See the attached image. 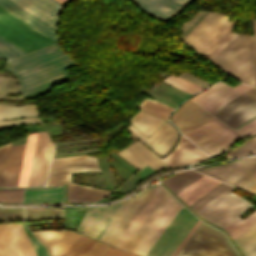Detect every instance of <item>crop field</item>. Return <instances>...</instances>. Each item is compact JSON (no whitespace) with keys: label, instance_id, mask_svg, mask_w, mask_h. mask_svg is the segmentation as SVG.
<instances>
[{"label":"crop field","instance_id":"crop-field-1","mask_svg":"<svg viewBox=\"0 0 256 256\" xmlns=\"http://www.w3.org/2000/svg\"><path fill=\"white\" fill-rule=\"evenodd\" d=\"M74 65L55 43L10 60L7 68L19 77L25 96L69 80L66 69Z\"/></svg>","mask_w":256,"mask_h":256},{"label":"crop field","instance_id":"crop-field-2","mask_svg":"<svg viewBox=\"0 0 256 256\" xmlns=\"http://www.w3.org/2000/svg\"><path fill=\"white\" fill-rule=\"evenodd\" d=\"M234 189L221 182L189 206L204 219L224 228L253 206L232 193Z\"/></svg>","mask_w":256,"mask_h":256},{"label":"crop field","instance_id":"crop-field-3","mask_svg":"<svg viewBox=\"0 0 256 256\" xmlns=\"http://www.w3.org/2000/svg\"><path fill=\"white\" fill-rule=\"evenodd\" d=\"M181 206L166 192L123 249L145 256Z\"/></svg>","mask_w":256,"mask_h":256},{"label":"crop field","instance_id":"crop-field-4","mask_svg":"<svg viewBox=\"0 0 256 256\" xmlns=\"http://www.w3.org/2000/svg\"><path fill=\"white\" fill-rule=\"evenodd\" d=\"M212 62L238 81L254 85L253 36L239 35Z\"/></svg>","mask_w":256,"mask_h":256},{"label":"crop field","instance_id":"crop-field-5","mask_svg":"<svg viewBox=\"0 0 256 256\" xmlns=\"http://www.w3.org/2000/svg\"><path fill=\"white\" fill-rule=\"evenodd\" d=\"M177 256H239L219 230L201 223Z\"/></svg>","mask_w":256,"mask_h":256},{"label":"crop field","instance_id":"crop-field-6","mask_svg":"<svg viewBox=\"0 0 256 256\" xmlns=\"http://www.w3.org/2000/svg\"><path fill=\"white\" fill-rule=\"evenodd\" d=\"M184 135L211 156L224 152L233 142L243 138L215 117Z\"/></svg>","mask_w":256,"mask_h":256},{"label":"crop field","instance_id":"crop-field-7","mask_svg":"<svg viewBox=\"0 0 256 256\" xmlns=\"http://www.w3.org/2000/svg\"><path fill=\"white\" fill-rule=\"evenodd\" d=\"M0 36L26 53L54 43L1 7Z\"/></svg>","mask_w":256,"mask_h":256},{"label":"crop field","instance_id":"crop-field-8","mask_svg":"<svg viewBox=\"0 0 256 256\" xmlns=\"http://www.w3.org/2000/svg\"><path fill=\"white\" fill-rule=\"evenodd\" d=\"M197 220L182 206L146 256H171Z\"/></svg>","mask_w":256,"mask_h":256},{"label":"crop field","instance_id":"crop-field-9","mask_svg":"<svg viewBox=\"0 0 256 256\" xmlns=\"http://www.w3.org/2000/svg\"><path fill=\"white\" fill-rule=\"evenodd\" d=\"M210 113L233 128L240 125L256 115V87Z\"/></svg>","mask_w":256,"mask_h":256},{"label":"crop field","instance_id":"crop-field-10","mask_svg":"<svg viewBox=\"0 0 256 256\" xmlns=\"http://www.w3.org/2000/svg\"><path fill=\"white\" fill-rule=\"evenodd\" d=\"M0 256H36L22 224H0Z\"/></svg>","mask_w":256,"mask_h":256},{"label":"crop field","instance_id":"crop-field-11","mask_svg":"<svg viewBox=\"0 0 256 256\" xmlns=\"http://www.w3.org/2000/svg\"><path fill=\"white\" fill-rule=\"evenodd\" d=\"M120 204L102 207H88L77 232L102 241Z\"/></svg>","mask_w":256,"mask_h":256},{"label":"crop field","instance_id":"crop-field-12","mask_svg":"<svg viewBox=\"0 0 256 256\" xmlns=\"http://www.w3.org/2000/svg\"><path fill=\"white\" fill-rule=\"evenodd\" d=\"M250 88H252V86L245 84H240L232 88L220 81L218 84L190 99L210 112Z\"/></svg>","mask_w":256,"mask_h":256},{"label":"crop field","instance_id":"crop-field-13","mask_svg":"<svg viewBox=\"0 0 256 256\" xmlns=\"http://www.w3.org/2000/svg\"><path fill=\"white\" fill-rule=\"evenodd\" d=\"M234 23L227 19L211 33L195 50L211 61L227 47L237 36L232 31Z\"/></svg>","mask_w":256,"mask_h":256},{"label":"crop field","instance_id":"crop-field-14","mask_svg":"<svg viewBox=\"0 0 256 256\" xmlns=\"http://www.w3.org/2000/svg\"><path fill=\"white\" fill-rule=\"evenodd\" d=\"M56 30L57 15L64 5L56 0H10Z\"/></svg>","mask_w":256,"mask_h":256},{"label":"crop field","instance_id":"crop-field-15","mask_svg":"<svg viewBox=\"0 0 256 256\" xmlns=\"http://www.w3.org/2000/svg\"><path fill=\"white\" fill-rule=\"evenodd\" d=\"M212 117L214 116L189 100L172 113L171 120L184 134Z\"/></svg>","mask_w":256,"mask_h":256},{"label":"crop field","instance_id":"crop-field-16","mask_svg":"<svg viewBox=\"0 0 256 256\" xmlns=\"http://www.w3.org/2000/svg\"><path fill=\"white\" fill-rule=\"evenodd\" d=\"M126 130H128L132 135L142 140L161 155L167 153L170 150L177 138V131L167 121L149 138L132 125Z\"/></svg>","mask_w":256,"mask_h":256},{"label":"crop field","instance_id":"crop-field-17","mask_svg":"<svg viewBox=\"0 0 256 256\" xmlns=\"http://www.w3.org/2000/svg\"><path fill=\"white\" fill-rule=\"evenodd\" d=\"M143 11L167 22L193 0H131Z\"/></svg>","mask_w":256,"mask_h":256},{"label":"crop field","instance_id":"crop-field-18","mask_svg":"<svg viewBox=\"0 0 256 256\" xmlns=\"http://www.w3.org/2000/svg\"><path fill=\"white\" fill-rule=\"evenodd\" d=\"M255 161L256 157L196 170L236 186Z\"/></svg>","mask_w":256,"mask_h":256},{"label":"crop field","instance_id":"crop-field-19","mask_svg":"<svg viewBox=\"0 0 256 256\" xmlns=\"http://www.w3.org/2000/svg\"><path fill=\"white\" fill-rule=\"evenodd\" d=\"M118 154L126 158L139 169L147 165L155 170L170 166L139 141Z\"/></svg>","mask_w":256,"mask_h":256},{"label":"crop field","instance_id":"crop-field-20","mask_svg":"<svg viewBox=\"0 0 256 256\" xmlns=\"http://www.w3.org/2000/svg\"><path fill=\"white\" fill-rule=\"evenodd\" d=\"M150 189L151 188H148L141 192L140 194H138L137 196L133 197L132 199L122 202L113 222L111 223L103 239V242L108 244L111 243V241L123 227V225L129 219V217L132 215V213L135 211V209L138 207V205L150 191Z\"/></svg>","mask_w":256,"mask_h":256},{"label":"crop field","instance_id":"crop-field-21","mask_svg":"<svg viewBox=\"0 0 256 256\" xmlns=\"http://www.w3.org/2000/svg\"><path fill=\"white\" fill-rule=\"evenodd\" d=\"M226 17L209 12L182 41L195 49Z\"/></svg>","mask_w":256,"mask_h":256},{"label":"crop field","instance_id":"crop-field-22","mask_svg":"<svg viewBox=\"0 0 256 256\" xmlns=\"http://www.w3.org/2000/svg\"><path fill=\"white\" fill-rule=\"evenodd\" d=\"M33 233L48 246L52 256H60L79 236V234L62 230L38 231Z\"/></svg>","mask_w":256,"mask_h":256},{"label":"crop field","instance_id":"crop-field-23","mask_svg":"<svg viewBox=\"0 0 256 256\" xmlns=\"http://www.w3.org/2000/svg\"><path fill=\"white\" fill-rule=\"evenodd\" d=\"M34 115H38L36 105H24L21 107L0 105V119L13 118L17 116H34ZM23 122L39 123L41 121L38 117H27L23 119L0 121V128L23 123Z\"/></svg>","mask_w":256,"mask_h":256},{"label":"crop field","instance_id":"crop-field-24","mask_svg":"<svg viewBox=\"0 0 256 256\" xmlns=\"http://www.w3.org/2000/svg\"><path fill=\"white\" fill-rule=\"evenodd\" d=\"M26 144L12 145L3 186H17Z\"/></svg>","mask_w":256,"mask_h":256},{"label":"crop field","instance_id":"crop-field-25","mask_svg":"<svg viewBox=\"0 0 256 256\" xmlns=\"http://www.w3.org/2000/svg\"><path fill=\"white\" fill-rule=\"evenodd\" d=\"M0 6L5 8L9 12H11L12 14L17 16L18 18H20L21 20H23L24 22H26L27 24L35 28L36 30L40 31L41 33H43L53 41L55 42L57 41L56 34L53 29L43 24L42 22H40L39 20H37L27 12L23 11L22 9H20L19 7L11 3L10 1L0 0Z\"/></svg>","mask_w":256,"mask_h":256},{"label":"crop field","instance_id":"crop-field-26","mask_svg":"<svg viewBox=\"0 0 256 256\" xmlns=\"http://www.w3.org/2000/svg\"><path fill=\"white\" fill-rule=\"evenodd\" d=\"M64 185L57 188L23 189V202H63Z\"/></svg>","mask_w":256,"mask_h":256},{"label":"crop field","instance_id":"crop-field-27","mask_svg":"<svg viewBox=\"0 0 256 256\" xmlns=\"http://www.w3.org/2000/svg\"><path fill=\"white\" fill-rule=\"evenodd\" d=\"M219 182L204 175L177 195L189 205Z\"/></svg>","mask_w":256,"mask_h":256},{"label":"crop field","instance_id":"crop-field-28","mask_svg":"<svg viewBox=\"0 0 256 256\" xmlns=\"http://www.w3.org/2000/svg\"><path fill=\"white\" fill-rule=\"evenodd\" d=\"M48 135L38 132L28 186L38 185Z\"/></svg>","mask_w":256,"mask_h":256},{"label":"crop field","instance_id":"crop-field-29","mask_svg":"<svg viewBox=\"0 0 256 256\" xmlns=\"http://www.w3.org/2000/svg\"><path fill=\"white\" fill-rule=\"evenodd\" d=\"M109 193L111 192L69 183L67 202L94 201L106 197Z\"/></svg>","mask_w":256,"mask_h":256},{"label":"crop field","instance_id":"crop-field-30","mask_svg":"<svg viewBox=\"0 0 256 256\" xmlns=\"http://www.w3.org/2000/svg\"><path fill=\"white\" fill-rule=\"evenodd\" d=\"M160 188L162 190H164L161 186L159 187V189ZM158 190L153 195V197L149 200V202L146 204V206L143 208V210L139 213V215L136 217V219L132 222V224L129 226V228L126 230V232L122 235V237L116 243L115 247H118L120 249L123 248V246L129 240V238L133 235V233L136 231V229L139 227V225L142 223V221L146 218V216L149 214V212L152 210V208L156 205V203L159 201V199L163 195L161 193H157Z\"/></svg>","mask_w":256,"mask_h":256},{"label":"crop field","instance_id":"crop-field-31","mask_svg":"<svg viewBox=\"0 0 256 256\" xmlns=\"http://www.w3.org/2000/svg\"><path fill=\"white\" fill-rule=\"evenodd\" d=\"M203 174L189 170L161 180L176 194L200 178Z\"/></svg>","mask_w":256,"mask_h":256},{"label":"crop field","instance_id":"crop-field-32","mask_svg":"<svg viewBox=\"0 0 256 256\" xmlns=\"http://www.w3.org/2000/svg\"><path fill=\"white\" fill-rule=\"evenodd\" d=\"M100 171L98 166H80L50 170L47 186L66 184L70 182V172Z\"/></svg>","mask_w":256,"mask_h":256},{"label":"crop field","instance_id":"crop-field-33","mask_svg":"<svg viewBox=\"0 0 256 256\" xmlns=\"http://www.w3.org/2000/svg\"><path fill=\"white\" fill-rule=\"evenodd\" d=\"M130 122L145 134L150 135L154 132L164 121L152 116L142 110H140L136 115H134Z\"/></svg>","mask_w":256,"mask_h":256},{"label":"crop field","instance_id":"crop-field-34","mask_svg":"<svg viewBox=\"0 0 256 256\" xmlns=\"http://www.w3.org/2000/svg\"><path fill=\"white\" fill-rule=\"evenodd\" d=\"M234 240L245 256H256V224Z\"/></svg>","mask_w":256,"mask_h":256},{"label":"crop field","instance_id":"crop-field-35","mask_svg":"<svg viewBox=\"0 0 256 256\" xmlns=\"http://www.w3.org/2000/svg\"><path fill=\"white\" fill-rule=\"evenodd\" d=\"M80 165H98L94 157H88V155L74 156V157H62L53 158L51 161L50 169L63 168L69 166Z\"/></svg>","mask_w":256,"mask_h":256},{"label":"crop field","instance_id":"crop-field-36","mask_svg":"<svg viewBox=\"0 0 256 256\" xmlns=\"http://www.w3.org/2000/svg\"><path fill=\"white\" fill-rule=\"evenodd\" d=\"M36 134H37V132L32 133L28 137V142H27V146H26V151H25V156H24V161H23V165H22V170H21V175H20L18 186H27V184H28V178H29V173H30V167H31V162H32Z\"/></svg>","mask_w":256,"mask_h":256},{"label":"crop field","instance_id":"crop-field-37","mask_svg":"<svg viewBox=\"0 0 256 256\" xmlns=\"http://www.w3.org/2000/svg\"><path fill=\"white\" fill-rule=\"evenodd\" d=\"M256 223V211H254L251 215H249L247 218L241 220L236 219L234 222H232L230 225H228L225 229L229 232V234L232 236V238H236L238 235L243 233L245 230L250 228L252 225Z\"/></svg>","mask_w":256,"mask_h":256},{"label":"crop field","instance_id":"crop-field-38","mask_svg":"<svg viewBox=\"0 0 256 256\" xmlns=\"http://www.w3.org/2000/svg\"><path fill=\"white\" fill-rule=\"evenodd\" d=\"M139 108L155 114L163 119H167L168 115L173 110V107L152 99H145Z\"/></svg>","mask_w":256,"mask_h":256},{"label":"crop field","instance_id":"crop-field-39","mask_svg":"<svg viewBox=\"0 0 256 256\" xmlns=\"http://www.w3.org/2000/svg\"><path fill=\"white\" fill-rule=\"evenodd\" d=\"M94 242L95 240L80 235L61 256H82Z\"/></svg>","mask_w":256,"mask_h":256},{"label":"crop field","instance_id":"crop-field-40","mask_svg":"<svg viewBox=\"0 0 256 256\" xmlns=\"http://www.w3.org/2000/svg\"><path fill=\"white\" fill-rule=\"evenodd\" d=\"M163 82L170 84L172 86H175L179 89H182L184 91H187L191 94L203 89L179 76L170 75V77H166Z\"/></svg>","mask_w":256,"mask_h":256},{"label":"crop field","instance_id":"crop-field-41","mask_svg":"<svg viewBox=\"0 0 256 256\" xmlns=\"http://www.w3.org/2000/svg\"><path fill=\"white\" fill-rule=\"evenodd\" d=\"M255 153H256V137L246 141L239 147L232 150L230 153L227 154L225 159L230 157H240V156H245V155H250Z\"/></svg>","mask_w":256,"mask_h":256},{"label":"crop field","instance_id":"crop-field-42","mask_svg":"<svg viewBox=\"0 0 256 256\" xmlns=\"http://www.w3.org/2000/svg\"><path fill=\"white\" fill-rule=\"evenodd\" d=\"M25 54L23 51L0 37V56L5 59H10L19 55Z\"/></svg>","mask_w":256,"mask_h":256},{"label":"crop field","instance_id":"crop-field-43","mask_svg":"<svg viewBox=\"0 0 256 256\" xmlns=\"http://www.w3.org/2000/svg\"><path fill=\"white\" fill-rule=\"evenodd\" d=\"M22 202V189L0 190V203Z\"/></svg>","mask_w":256,"mask_h":256},{"label":"crop field","instance_id":"crop-field-44","mask_svg":"<svg viewBox=\"0 0 256 256\" xmlns=\"http://www.w3.org/2000/svg\"><path fill=\"white\" fill-rule=\"evenodd\" d=\"M160 185L155 184L152 191L149 193V195L146 197V199L142 202V204L139 206V208L135 211V213L132 215V217L129 219V221L125 224V226L122 228V230L118 233V235L115 237V239L112 241L111 245H115V243L118 241V239L121 237V235L125 232V230L128 228V226L131 224V222L135 219V217L138 215V213L142 210V208L145 206V204L148 202V200L152 197V195L155 193V191L158 189Z\"/></svg>","mask_w":256,"mask_h":256},{"label":"crop field","instance_id":"crop-field-45","mask_svg":"<svg viewBox=\"0 0 256 256\" xmlns=\"http://www.w3.org/2000/svg\"><path fill=\"white\" fill-rule=\"evenodd\" d=\"M10 143L0 146V186L3 184L9 149H10Z\"/></svg>","mask_w":256,"mask_h":256},{"label":"crop field","instance_id":"crop-field-46","mask_svg":"<svg viewBox=\"0 0 256 256\" xmlns=\"http://www.w3.org/2000/svg\"><path fill=\"white\" fill-rule=\"evenodd\" d=\"M52 151H53V143L48 138V143H47V148H46V153H45V158H44V163H43V168H42V173H41V178H40L39 185H45L47 170H48V164H49L50 157L52 155Z\"/></svg>","mask_w":256,"mask_h":256},{"label":"crop field","instance_id":"crop-field-47","mask_svg":"<svg viewBox=\"0 0 256 256\" xmlns=\"http://www.w3.org/2000/svg\"><path fill=\"white\" fill-rule=\"evenodd\" d=\"M110 246L96 241L83 256H102Z\"/></svg>","mask_w":256,"mask_h":256},{"label":"crop field","instance_id":"crop-field-48","mask_svg":"<svg viewBox=\"0 0 256 256\" xmlns=\"http://www.w3.org/2000/svg\"><path fill=\"white\" fill-rule=\"evenodd\" d=\"M37 256H50L46 247L36 238H29Z\"/></svg>","mask_w":256,"mask_h":256},{"label":"crop field","instance_id":"crop-field-49","mask_svg":"<svg viewBox=\"0 0 256 256\" xmlns=\"http://www.w3.org/2000/svg\"><path fill=\"white\" fill-rule=\"evenodd\" d=\"M103 256H136V255L111 247Z\"/></svg>","mask_w":256,"mask_h":256},{"label":"crop field","instance_id":"crop-field-50","mask_svg":"<svg viewBox=\"0 0 256 256\" xmlns=\"http://www.w3.org/2000/svg\"><path fill=\"white\" fill-rule=\"evenodd\" d=\"M201 221H197V223L194 225V227L191 229V231L188 233V235L185 237V239L181 242V244L178 246V248L175 250V252L172 254V256H175L178 251L181 249V247L184 245V243L187 241V239L190 237V235L193 233V231L196 229V227L199 225Z\"/></svg>","mask_w":256,"mask_h":256},{"label":"crop field","instance_id":"crop-field-51","mask_svg":"<svg viewBox=\"0 0 256 256\" xmlns=\"http://www.w3.org/2000/svg\"><path fill=\"white\" fill-rule=\"evenodd\" d=\"M255 124H256V119H255V120H253L252 122L248 123L247 125H245V126L241 127L240 129L236 130V131H238V132H240V133H241V132H243V131L247 130L248 128H250V127L254 126Z\"/></svg>","mask_w":256,"mask_h":256},{"label":"crop field","instance_id":"crop-field-52","mask_svg":"<svg viewBox=\"0 0 256 256\" xmlns=\"http://www.w3.org/2000/svg\"><path fill=\"white\" fill-rule=\"evenodd\" d=\"M241 134H243L244 136L256 134V125Z\"/></svg>","mask_w":256,"mask_h":256},{"label":"crop field","instance_id":"crop-field-53","mask_svg":"<svg viewBox=\"0 0 256 256\" xmlns=\"http://www.w3.org/2000/svg\"><path fill=\"white\" fill-rule=\"evenodd\" d=\"M255 33V55H256V25H253Z\"/></svg>","mask_w":256,"mask_h":256},{"label":"crop field","instance_id":"crop-field-54","mask_svg":"<svg viewBox=\"0 0 256 256\" xmlns=\"http://www.w3.org/2000/svg\"><path fill=\"white\" fill-rule=\"evenodd\" d=\"M91 146H95V145H91ZM91 146H83V147H91ZM74 148H82V147H74ZM74 148H66V149H74ZM66 149H59V150H66ZM58 151V150H56Z\"/></svg>","mask_w":256,"mask_h":256},{"label":"crop field","instance_id":"crop-field-55","mask_svg":"<svg viewBox=\"0 0 256 256\" xmlns=\"http://www.w3.org/2000/svg\"><path fill=\"white\" fill-rule=\"evenodd\" d=\"M255 71H256V56H255Z\"/></svg>","mask_w":256,"mask_h":256},{"label":"crop field","instance_id":"crop-field-56","mask_svg":"<svg viewBox=\"0 0 256 256\" xmlns=\"http://www.w3.org/2000/svg\"><path fill=\"white\" fill-rule=\"evenodd\" d=\"M58 1L62 3V2H64L65 0H58ZM61 3H60V4H61Z\"/></svg>","mask_w":256,"mask_h":256},{"label":"crop field","instance_id":"crop-field-57","mask_svg":"<svg viewBox=\"0 0 256 256\" xmlns=\"http://www.w3.org/2000/svg\"><path fill=\"white\" fill-rule=\"evenodd\" d=\"M1 77H2V76H0V81H1Z\"/></svg>","mask_w":256,"mask_h":256}]
</instances>
